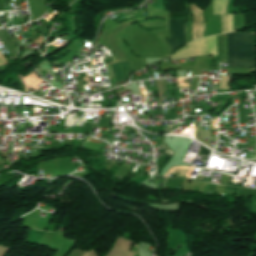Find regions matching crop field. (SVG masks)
I'll return each instance as SVG.
<instances>
[{
    "mask_svg": "<svg viewBox=\"0 0 256 256\" xmlns=\"http://www.w3.org/2000/svg\"><path fill=\"white\" fill-rule=\"evenodd\" d=\"M228 66L254 68L252 34L229 33Z\"/></svg>",
    "mask_w": 256,
    "mask_h": 256,
    "instance_id": "1",
    "label": "crop field"
},
{
    "mask_svg": "<svg viewBox=\"0 0 256 256\" xmlns=\"http://www.w3.org/2000/svg\"><path fill=\"white\" fill-rule=\"evenodd\" d=\"M171 39L165 38L172 50L185 44V20H169Z\"/></svg>",
    "mask_w": 256,
    "mask_h": 256,
    "instance_id": "2",
    "label": "crop field"
},
{
    "mask_svg": "<svg viewBox=\"0 0 256 256\" xmlns=\"http://www.w3.org/2000/svg\"><path fill=\"white\" fill-rule=\"evenodd\" d=\"M131 242L118 237L116 244L107 254V256H124L129 250Z\"/></svg>",
    "mask_w": 256,
    "mask_h": 256,
    "instance_id": "3",
    "label": "crop field"
},
{
    "mask_svg": "<svg viewBox=\"0 0 256 256\" xmlns=\"http://www.w3.org/2000/svg\"><path fill=\"white\" fill-rule=\"evenodd\" d=\"M113 69L117 82L126 80L128 78L130 68L127 61L113 64Z\"/></svg>",
    "mask_w": 256,
    "mask_h": 256,
    "instance_id": "4",
    "label": "crop field"
},
{
    "mask_svg": "<svg viewBox=\"0 0 256 256\" xmlns=\"http://www.w3.org/2000/svg\"><path fill=\"white\" fill-rule=\"evenodd\" d=\"M210 150L204 148V147H201L200 151H199V155L203 156L202 160L203 162H205L204 160L206 159L208 153H209Z\"/></svg>",
    "mask_w": 256,
    "mask_h": 256,
    "instance_id": "5",
    "label": "crop field"
},
{
    "mask_svg": "<svg viewBox=\"0 0 256 256\" xmlns=\"http://www.w3.org/2000/svg\"><path fill=\"white\" fill-rule=\"evenodd\" d=\"M8 248L6 247H0V256H4Z\"/></svg>",
    "mask_w": 256,
    "mask_h": 256,
    "instance_id": "6",
    "label": "crop field"
},
{
    "mask_svg": "<svg viewBox=\"0 0 256 256\" xmlns=\"http://www.w3.org/2000/svg\"><path fill=\"white\" fill-rule=\"evenodd\" d=\"M83 256H96V254L90 249L89 252H85V254Z\"/></svg>",
    "mask_w": 256,
    "mask_h": 256,
    "instance_id": "7",
    "label": "crop field"
},
{
    "mask_svg": "<svg viewBox=\"0 0 256 256\" xmlns=\"http://www.w3.org/2000/svg\"><path fill=\"white\" fill-rule=\"evenodd\" d=\"M135 253L132 251H129V253L126 256H133Z\"/></svg>",
    "mask_w": 256,
    "mask_h": 256,
    "instance_id": "8",
    "label": "crop field"
}]
</instances>
